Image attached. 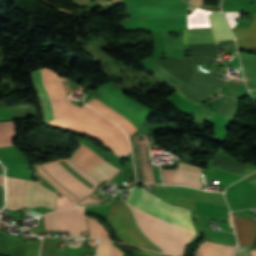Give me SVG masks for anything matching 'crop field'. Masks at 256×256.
I'll use <instances>...</instances> for the list:
<instances>
[{"label": "crop field", "instance_id": "1", "mask_svg": "<svg viewBox=\"0 0 256 256\" xmlns=\"http://www.w3.org/2000/svg\"><path fill=\"white\" fill-rule=\"evenodd\" d=\"M44 71L45 82L50 90L56 115L58 118L67 120L72 106V101L71 99L67 98L65 90L60 83V81H64L65 79L58 77L54 71L48 68L44 67ZM31 80L39 98L44 121L47 122L55 118L56 116L49 90L44 82L43 68L32 71ZM58 118L46 124L92 136L93 138L100 141L105 146V148L114 152L122 158L130 153V151H128L130 150L128 137L126 136L124 131H122L118 125L114 124L108 118L104 117L86 104L82 107L73 105L68 120L97 128L105 132L111 138L115 139L118 143H120L124 148L128 150L124 149L115 140L111 139L106 134L97 129Z\"/></svg>", "mask_w": 256, "mask_h": 256}, {"label": "crop field", "instance_id": "2", "mask_svg": "<svg viewBox=\"0 0 256 256\" xmlns=\"http://www.w3.org/2000/svg\"><path fill=\"white\" fill-rule=\"evenodd\" d=\"M63 164L71 168L73 171L81 175L83 178L91 182L93 185H96L97 182L94 178H92L89 174H87L84 170L78 168L75 164H73L69 160H61ZM59 161L51 162L43 164L50 170H52L54 173H56L58 176L63 178L65 181L70 183L72 186H74L76 189L81 191L83 194H88L92 190L93 186L91 183L83 179L81 176L73 172L71 169L63 165ZM38 172L56 189L61 191L63 194L68 196L73 202L79 200L80 198L84 197L74 189H72L70 186L62 182L60 179L55 177L53 174L45 170L43 167L39 166L37 168Z\"/></svg>", "mask_w": 256, "mask_h": 256}, {"label": "crop field", "instance_id": "3", "mask_svg": "<svg viewBox=\"0 0 256 256\" xmlns=\"http://www.w3.org/2000/svg\"><path fill=\"white\" fill-rule=\"evenodd\" d=\"M127 202L142 210L184 229L195 231L190 210L167 204L156 198L149 191L133 188ZM196 232V231H195Z\"/></svg>", "mask_w": 256, "mask_h": 256}, {"label": "crop field", "instance_id": "4", "mask_svg": "<svg viewBox=\"0 0 256 256\" xmlns=\"http://www.w3.org/2000/svg\"><path fill=\"white\" fill-rule=\"evenodd\" d=\"M107 220L120 241L162 252L141 233L128 206L112 205Z\"/></svg>", "mask_w": 256, "mask_h": 256}, {"label": "crop field", "instance_id": "5", "mask_svg": "<svg viewBox=\"0 0 256 256\" xmlns=\"http://www.w3.org/2000/svg\"><path fill=\"white\" fill-rule=\"evenodd\" d=\"M226 82L210 74L194 75L192 80L177 92L200 104L206 98L220 90Z\"/></svg>", "mask_w": 256, "mask_h": 256}, {"label": "crop field", "instance_id": "6", "mask_svg": "<svg viewBox=\"0 0 256 256\" xmlns=\"http://www.w3.org/2000/svg\"><path fill=\"white\" fill-rule=\"evenodd\" d=\"M23 205L28 208L42 205L55 210L56 193L39 183L27 180Z\"/></svg>", "mask_w": 256, "mask_h": 256}, {"label": "crop field", "instance_id": "7", "mask_svg": "<svg viewBox=\"0 0 256 256\" xmlns=\"http://www.w3.org/2000/svg\"><path fill=\"white\" fill-rule=\"evenodd\" d=\"M26 180L5 176L6 206L9 209H20L22 207Z\"/></svg>", "mask_w": 256, "mask_h": 256}, {"label": "crop field", "instance_id": "8", "mask_svg": "<svg viewBox=\"0 0 256 256\" xmlns=\"http://www.w3.org/2000/svg\"><path fill=\"white\" fill-rule=\"evenodd\" d=\"M77 151H79L81 154H83L85 157H87L89 160L94 162L96 165H98L100 168L105 170L110 175L117 169L116 167L106 162L104 159L98 156L95 152H93L91 149L87 148L84 145H81V147ZM70 160L73 161L78 166H80L81 168H83L88 173H90L96 179L100 180L103 178L100 174H98L93 169L88 167L86 164H84L82 161L77 159L75 156L72 155Z\"/></svg>", "mask_w": 256, "mask_h": 256}, {"label": "crop field", "instance_id": "9", "mask_svg": "<svg viewBox=\"0 0 256 256\" xmlns=\"http://www.w3.org/2000/svg\"><path fill=\"white\" fill-rule=\"evenodd\" d=\"M156 63L186 83L190 80L194 72V64L190 59L170 58L168 60H157Z\"/></svg>", "mask_w": 256, "mask_h": 256}, {"label": "crop field", "instance_id": "10", "mask_svg": "<svg viewBox=\"0 0 256 256\" xmlns=\"http://www.w3.org/2000/svg\"><path fill=\"white\" fill-rule=\"evenodd\" d=\"M199 169V167L180 162L172 185H187L200 189Z\"/></svg>", "mask_w": 256, "mask_h": 256}, {"label": "crop field", "instance_id": "11", "mask_svg": "<svg viewBox=\"0 0 256 256\" xmlns=\"http://www.w3.org/2000/svg\"><path fill=\"white\" fill-rule=\"evenodd\" d=\"M238 243L252 245L256 238V221L233 215Z\"/></svg>", "mask_w": 256, "mask_h": 256}, {"label": "crop field", "instance_id": "12", "mask_svg": "<svg viewBox=\"0 0 256 256\" xmlns=\"http://www.w3.org/2000/svg\"><path fill=\"white\" fill-rule=\"evenodd\" d=\"M57 230H69L70 236L72 234V226L70 219V208L55 211ZM54 212L44 215L46 230H56Z\"/></svg>", "mask_w": 256, "mask_h": 256}, {"label": "crop field", "instance_id": "13", "mask_svg": "<svg viewBox=\"0 0 256 256\" xmlns=\"http://www.w3.org/2000/svg\"><path fill=\"white\" fill-rule=\"evenodd\" d=\"M236 247L204 241L196 256H235Z\"/></svg>", "mask_w": 256, "mask_h": 256}, {"label": "crop field", "instance_id": "14", "mask_svg": "<svg viewBox=\"0 0 256 256\" xmlns=\"http://www.w3.org/2000/svg\"><path fill=\"white\" fill-rule=\"evenodd\" d=\"M208 17L215 41L233 38L222 13L212 12V15H208Z\"/></svg>", "mask_w": 256, "mask_h": 256}, {"label": "crop field", "instance_id": "15", "mask_svg": "<svg viewBox=\"0 0 256 256\" xmlns=\"http://www.w3.org/2000/svg\"><path fill=\"white\" fill-rule=\"evenodd\" d=\"M88 104H90L95 109H97L101 113L105 114L112 120L116 121L127 132L129 137L137 130L130 122H128L126 119H124L118 113L113 111L108 106L102 104L98 100L94 99V100L88 102Z\"/></svg>", "mask_w": 256, "mask_h": 256}, {"label": "crop field", "instance_id": "16", "mask_svg": "<svg viewBox=\"0 0 256 256\" xmlns=\"http://www.w3.org/2000/svg\"><path fill=\"white\" fill-rule=\"evenodd\" d=\"M184 44L187 43H215L210 28L181 30Z\"/></svg>", "mask_w": 256, "mask_h": 256}, {"label": "crop field", "instance_id": "17", "mask_svg": "<svg viewBox=\"0 0 256 256\" xmlns=\"http://www.w3.org/2000/svg\"><path fill=\"white\" fill-rule=\"evenodd\" d=\"M138 144H140V148H141V154H142V161H143V167H144L145 181L147 182L146 173H145V165H144V157H143V151H142L141 144H143V147H144V153H145V159H146V165H147V173H148V180H149V182H150L149 168H148V162H147V152H146V148H145V143H138ZM131 146H132L133 156H134L136 178H137V181H138V182H143L142 173H141V166H142V165L140 166V159H141V157H140V159H139V153H138V146H137V143L131 144ZM139 152H140V151H139ZM149 167H150L151 179H152V182H154L151 164H149ZM153 170H154L155 183H157V181H156V172H155L154 165H153Z\"/></svg>", "mask_w": 256, "mask_h": 256}, {"label": "crop field", "instance_id": "18", "mask_svg": "<svg viewBox=\"0 0 256 256\" xmlns=\"http://www.w3.org/2000/svg\"><path fill=\"white\" fill-rule=\"evenodd\" d=\"M74 236H80V231H88L84 207L71 208Z\"/></svg>", "mask_w": 256, "mask_h": 256}, {"label": "crop field", "instance_id": "19", "mask_svg": "<svg viewBox=\"0 0 256 256\" xmlns=\"http://www.w3.org/2000/svg\"><path fill=\"white\" fill-rule=\"evenodd\" d=\"M192 57H210V58H219L216 44H190V54L184 53Z\"/></svg>", "mask_w": 256, "mask_h": 256}, {"label": "crop field", "instance_id": "20", "mask_svg": "<svg viewBox=\"0 0 256 256\" xmlns=\"http://www.w3.org/2000/svg\"><path fill=\"white\" fill-rule=\"evenodd\" d=\"M15 137L16 132L14 122H0V146L13 145L12 139Z\"/></svg>", "mask_w": 256, "mask_h": 256}, {"label": "crop field", "instance_id": "21", "mask_svg": "<svg viewBox=\"0 0 256 256\" xmlns=\"http://www.w3.org/2000/svg\"><path fill=\"white\" fill-rule=\"evenodd\" d=\"M215 111L232 120L236 116L237 99L225 97L220 107Z\"/></svg>", "mask_w": 256, "mask_h": 256}, {"label": "crop field", "instance_id": "22", "mask_svg": "<svg viewBox=\"0 0 256 256\" xmlns=\"http://www.w3.org/2000/svg\"><path fill=\"white\" fill-rule=\"evenodd\" d=\"M87 219H88V226H89V237L104 238V239L110 240V237L105 227H103L100 223H98L93 218L87 217Z\"/></svg>", "mask_w": 256, "mask_h": 256}, {"label": "crop field", "instance_id": "23", "mask_svg": "<svg viewBox=\"0 0 256 256\" xmlns=\"http://www.w3.org/2000/svg\"><path fill=\"white\" fill-rule=\"evenodd\" d=\"M238 48H256V34L237 39Z\"/></svg>", "mask_w": 256, "mask_h": 256}, {"label": "crop field", "instance_id": "24", "mask_svg": "<svg viewBox=\"0 0 256 256\" xmlns=\"http://www.w3.org/2000/svg\"><path fill=\"white\" fill-rule=\"evenodd\" d=\"M253 16H254V20L248 28H235L234 35L236 38L244 36L249 33L256 32V13H253Z\"/></svg>", "mask_w": 256, "mask_h": 256}, {"label": "crop field", "instance_id": "25", "mask_svg": "<svg viewBox=\"0 0 256 256\" xmlns=\"http://www.w3.org/2000/svg\"><path fill=\"white\" fill-rule=\"evenodd\" d=\"M110 246H111V242L100 240L97 256H109Z\"/></svg>", "mask_w": 256, "mask_h": 256}, {"label": "crop field", "instance_id": "26", "mask_svg": "<svg viewBox=\"0 0 256 256\" xmlns=\"http://www.w3.org/2000/svg\"><path fill=\"white\" fill-rule=\"evenodd\" d=\"M225 14H226V18L228 19L231 27H235V25H234V23L236 24L235 19H233V21H234V23H233L231 18H239L240 12H225Z\"/></svg>", "mask_w": 256, "mask_h": 256}, {"label": "crop field", "instance_id": "27", "mask_svg": "<svg viewBox=\"0 0 256 256\" xmlns=\"http://www.w3.org/2000/svg\"><path fill=\"white\" fill-rule=\"evenodd\" d=\"M192 61L195 64H212L213 63V59H199V58H193Z\"/></svg>", "mask_w": 256, "mask_h": 256}, {"label": "crop field", "instance_id": "28", "mask_svg": "<svg viewBox=\"0 0 256 256\" xmlns=\"http://www.w3.org/2000/svg\"><path fill=\"white\" fill-rule=\"evenodd\" d=\"M122 255H123V253L120 252L116 247H114V246L112 245L110 256H122Z\"/></svg>", "mask_w": 256, "mask_h": 256}, {"label": "crop field", "instance_id": "29", "mask_svg": "<svg viewBox=\"0 0 256 256\" xmlns=\"http://www.w3.org/2000/svg\"><path fill=\"white\" fill-rule=\"evenodd\" d=\"M138 253H142V254H146V255H150V256H163V255L152 253V252L145 251V250L138 251ZM138 253H137V256H146V255H142V254H138Z\"/></svg>", "mask_w": 256, "mask_h": 256}, {"label": "crop field", "instance_id": "30", "mask_svg": "<svg viewBox=\"0 0 256 256\" xmlns=\"http://www.w3.org/2000/svg\"><path fill=\"white\" fill-rule=\"evenodd\" d=\"M254 249H256V240H255L253 246L251 247V250H254ZM251 253H252V256H256V250L251 251Z\"/></svg>", "mask_w": 256, "mask_h": 256}, {"label": "crop field", "instance_id": "31", "mask_svg": "<svg viewBox=\"0 0 256 256\" xmlns=\"http://www.w3.org/2000/svg\"><path fill=\"white\" fill-rule=\"evenodd\" d=\"M190 2H192V3H194L195 4V0H190ZM201 4H202V0H196V5L197 6H201Z\"/></svg>", "mask_w": 256, "mask_h": 256}, {"label": "crop field", "instance_id": "32", "mask_svg": "<svg viewBox=\"0 0 256 256\" xmlns=\"http://www.w3.org/2000/svg\"><path fill=\"white\" fill-rule=\"evenodd\" d=\"M175 172H176V171H175ZM175 172H174V174H175ZM173 177H174V175H173ZM172 180H173V178H172ZM172 180H171V183H172ZM171 183H170V184H171Z\"/></svg>", "mask_w": 256, "mask_h": 256}]
</instances>
